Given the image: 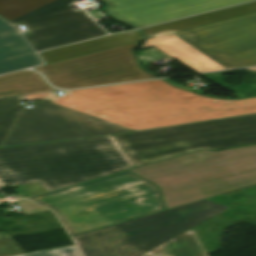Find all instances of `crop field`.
<instances>
[{
  "instance_id": "6",
  "label": "crop field",
  "mask_w": 256,
  "mask_h": 256,
  "mask_svg": "<svg viewBox=\"0 0 256 256\" xmlns=\"http://www.w3.org/2000/svg\"><path fill=\"white\" fill-rule=\"evenodd\" d=\"M226 209L201 200L72 238L84 256H140Z\"/></svg>"
},
{
  "instance_id": "15",
  "label": "crop field",
  "mask_w": 256,
  "mask_h": 256,
  "mask_svg": "<svg viewBox=\"0 0 256 256\" xmlns=\"http://www.w3.org/2000/svg\"><path fill=\"white\" fill-rule=\"evenodd\" d=\"M33 71H21L0 76V98L26 93L54 91Z\"/></svg>"
},
{
  "instance_id": "10",
  "label": "crop field",
  "mask_w": 256,
  "mask_h": 256,
  "mask_svg": "<svg viewBox=\"0 0 256 256\" xmlns=\"http://www.w3.org/2000/svg\"><path fill=\"white\" fill-rule=\"evenodd\" d=\"M138 43L34 69L41 71L50 84L59 88H78L157 77L137 64L133 50Z\"/></svg>"
},
{
  "instance_id": "9",
  "label": "crop field",
  "mask_w": 256,
  "mask_h": 256,
  "mask_svg": "<svg viewBox=\"0 0 256 256\" xmlns=\"http://www.w3.org/2000/svg\"><path fill=\"white\" fill-rule=\"evenodd\" d=\"M35 104L21 109L1 147L131 131L53 103Z\"/></svg>"
},
{
  "instance_id": "24",
  "label": "crop field",
  "mask_w": 256,
  "mask_h": 256,
  "mask_svg": "<svg viewBox=\"0 0 256 256\" xmlns=\"http://www.w3.org/2000/svg\"><path fill=\"white\" fill-rule=\"evenodd\" d=\"M92 16L94 17V19L101 18V16H100V14H99V13H97V14H93Z\"/></svg>"
},
{
  "instance_id": "26",
  "label": "crop field",
  "mask_w": 256,
  "mask_h": 256,
  "mask_svg": "<svg viewBox=\"0 0 256 256\" xmlns=\"http://www.w3.org/2000/svg\"><path fill=\"white\" fill-rule=\"evenodd\" d=\"M250 69L256 71V68H250Z\"/></svg>"
},
{
  "instance_id": "8",
  "label": "crop field",
  "mask_w": 256,
  "mask_h": 256,
  "mask_svg": "<svg viewBox=\"0 0 256 256\" xmlns=\"http://www.w3.org/2000/svg\"><path fill=\"white\" fill-rule=\"evenodd\" d=\"M76 0H0V15L23 22L32 35L25 38L36 51L106 34Z\"/></svg>"
},
{
  "instance_id": "19",
  "label": "crop field",
  "mask_w": 256,
  "mask_h": 256,
  "mask_svg": "<svg viewBox=\"0 0 256 256\" xmlns=\"http://www.w3.org/2000/svg\"><path fill=\"white\" fill-rule=\"evenodd\" d=\"M18 256H81L74 245L49 250L31 252Z\"/></svg>"
},
{
  "instance_id": "5",
  "label": "crop field",
  "mask_w": 256,
  "mask_h": 256,
  "mask_svg": "<svg viewBox=\"0 0 256 256\" xmlns=\"http://www.w3.org/2000/svg\"><path fill=\"white\" fill-rule=\"evenodd\" d=\"M156 47L198 71L256 65V13L145 40L139 49Z\"/></svg>"
},
{
  "instance_id": "12",
  "label": "crop field",
  "mask_w": 256,
  "mask_h": 256,
  "mask_svg": "<svg viewBox=\"0 0 256 256\" xmlns=\"http://www.w3.org/2000/svg\"><path fill=\"white\" fill-rule=\"evenodd\" d=\"M16 26L0 16V74L41 64Z\"/></svg>"
},
{
  "instance_id": "7",
  "label": "crop field",
  "mask_w": 256,
  "mask_h": 256,
  "mask_svg": "<svg viewBox=\"0 0 256 256\" xmlns=\"http://www.w3.org/2000/svg\"><path fill=\"white\" fill-rule=\"evenodd\" d=\"M135 166L199 148L256 143V114L113 135Z\"/></svg>"
},
{
  "instance_id": "21",
  "label": "crop field",
  "mask_w": 256,
  "mask_h": 256,
  "mask_svg": "<svg viewBox=\"0 0 256 256\" xmlns=\"http://www.w3.org/2000/svg\"><path fill=\"white\" fill-rule=\"evenodd\" d=\"M15 204L22 210V212L25 215L28 214H33V213H38V212H43V211H48L47 209L40 207L36 204H33L27 200H22L19 202H15Z\"/></svg>"
},
{
  "instance_id": "4",
  "label": "crop field",
  "mask_w": 256,
  "mask_h": 256,
  "mask_svg": "<svg viewBox=\"0 0 256 256\" xmlns=\"http://www.w3.org/2000/svg\"><path fill=\"white\" fill-rule=\"evenodd\" d=\"M218 153L182 168L169 158L131 171L161 189L167 209L256 184V145Z\"/></svg>"
},
{
  "instance_id": "25",
  "label": "crop field",
  "mask_w": 256,
  "mask_h": 256,
  "mask_svg": "<svg viewBox=\"0 0 256 256\" xmlns=\"http://www.w3.org/2000/svg\"><path fill=\"white\" fill-rule=\"evenodd\" d=\"M102 1L108 3V2H112V1H116V0H102Z\"/></svg>"
},
{
  "instance_id": "11",
  "label": "crop field",
  "mask_w": 256,
  "mask_h": 256,
  "mask_svg": "<svg viewBox=\"0 0 256 256\" xmlns=\"http://www.w3.org/2000/svg\"><path fill=\"white\" fill-rule=\"evenodd\" d=\"M243 1L247 0H120L106 4V10L137 28Z\"/></svg>"
},
{
  "instance_id": "13",
  "label": "crop field",
  "mask_w": 256,
  "mask_h": 256,
  "mask_svg": "<svg viewBox=\"0 0 256 256\" xmlns=\"http://www.w3.org/2000/svg\"><path fill=\"white\" fill-rule=\"evenodd\" d=\"M142 41V35L136 31L114 34L78 44L41 52L45 62L52 63L96 51Z\"/></svg>"
},
{
  "instance_id": "18",
  "label": "crop field",
  "mask_w": 256,
  "mask_h": 256,
  "mask_svg": "<svg viewBox=\"0 0 256 256\" xmlns=\"http://www.w3.org/2000/svg\"><path fill=\"white\" fill-rule=\"evenodd\" d=\"M218 156L219 155L217 152H209V151L201 150V151L173 157L172 159L180 167H182V166H186L189 164L204 161V160L211 159V158L218 157Z\"/></svg>"
},
{
  "instance_id": "14",
  "label": "crop field",
  "mask_w": 256,
  "mask_h": 256,
  "mask_svg": "<svg viewBox=\"0 0 256 256\" xmlns=\"http://www.w3.org/2000/svg\"><path fill=\"white\" fill-rule=\"evenodd\" d=\"M254 12H256V1L141 29V31L150 34L170 28L189 29Z\"/></svg>"
},
{
  "instance_id": "22",
  "label": "crop field",
  "mask_w": 256,
  "mask_h": 256,
  "mask_svg": "<svg viewBox=\"0 0 256 256\" xmlns=\"http://www.w3.org/2000/svg\"><path fill=\"white\" fill-rule=\"evenodd\" d=\"M25 197L33 196L41 193H45L46 191L40 186L39 183L28 184V185H20L18 186Z\"/></svg>"
},
{
  "instance_id": "20",
  "label": "crop field",
  "mask_w": 256,
  "mask_h": 256,
  "mask_svg": "<svg viewBox=\"0 0 256 256\" xmlns=\"http://www.w3.org/2000/svg\"><path fill=\"white\" fill-rule=\"evenodd\" d=\"M25 253L11 238L0 239V256H11Z\"/></svg>"
},
{
  "instance_id": "1",
  "label": "crop field",
  "mask_w": 256,
  "mask_h": 256,
  "mask_svg": "<svg viewBox=\"0 0 256 256\" xmlns=\"http://www.w3.org/2000/svg\"><path fill=\"white\" fill-rule=\"evenodd\" d=\"M22 96L47 100L138 131L256 113V98L224 100L173 87L163 80Z\"/></svg>"
},
{
  "instance_id": "17",
  "label": "crop field",
  "mask_w": 256,
  "mask_h": 256,
  "mask_svg": "<svg viewBox=\"0 0 256 256\" xmlns=\"http://www.w3.org/2000/svg\"><path fill=\"white\" fill-rule=\"evenodd\" d=\"M20 101L19 96L0 99V145L20 111Z\"/></svg>"
},
{
  "instance_id": "23",
  "label": "crop field",
  "mask_w": 256,
  "mask_h": 256,
  "mask_svg": "<svg viewBox=\"0 0 256 256\" xmlns=\"http://www.w3.org/2000/svg\"><path fill=\"white\" fill-rule=\"evenodd\" d=\"M178 31H183V30L170 29V30H166L163 32L147 35V37L152 38V37H156V36H160V35H164V34H168V33H173V32H178Z\"/></svg>"
},
{
  "instance_id": "3",
  "label": "crop field",
  "mask_w": 256,
  "mask_h": 256,
  "mask_svg": "<svg viewBox=\"0 0 256 256\" xmlns=\"http://www.w3.org/2000/svg\"><path fill=\"white\" fill-rule=\"evenodd\" d=\"M29 199L52 209L71 235L165 209L158 188L128 171Z\"/></svg>"
},
{
  "instance_id": "2",
  "label": "crop field",
  "mask_w": 256,
  "mask_h": 256,
  "mask_svg": "<svg viewBox=\"0 0 256 256\" xmlns=\"http://www.w3.org/2000/svg\"><path fill=\"white\" fill-rule=\"evenodd\" d=\"M134 166L112 135L0 149V187L39 182L47 191Z\"/></svg>"
},
{
  "instance_id": "16",
  "label": "crop field",
  "mask_w": 256,
  "mask_h": 256,
  "mask_svg": "<svg viewBox=\"0 0 256 256\" xmlns=\"http://www.w3.org/2000/svg\"><path fill=\"white\" fill-rule=\"evenodd\" d=\"M142 256H207L192 230Z\"/></svg>"
}]
</instances>
